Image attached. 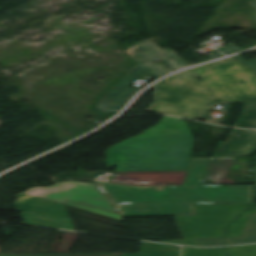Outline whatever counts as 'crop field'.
I'll list each match as a JSON object with an SVG mask.
<instances>
[{"instance_id":"crop-field-10","label":"crop field","mask_w":256,"mask_h":256,"mask_svg":"<svg viewBox=\"0 0 256 256\" xmlns=\"http://www.w3.org/2000/svg\"><path fill=\"white\" fill-rule=\"evenodd\" d=\"M14 204L18 211L70 218L65 205L29 194L19 193Z\"/></svg>"},{"instance_id":"crop-field-2","label":"crop field","mask_w":256,"mask_h":256,"mask_svg":"<svg viewBox=\"0 0 256 256\" xmlns=\"http://www.w3.org/2000/svg\"><path fill=\"white\" fill-rule=\"evenodd\" d=\"M145 132L107 149L108 166L117 171L187 170L194 139L184 120L163 116Z\"/></svg>"},{"instance_id":"crop-field-16","label":"crop field","mask_w":256,"mask_h":256,"mask_svg":"<svg viewBox=\"0 0 256 256\" xmlns=\"http://www.w3.org/2000/svg\"><path fill=\"white\" fill-rule=\"evenodd\" d=\"M256 212V204L254 203L234 221L224 227L225 237L240 236L244 223L249 213Z\"/></svg>"},{"instance_id":"crop-field-18","label":"crop field","mask_w":256,"mask_h":256,"mask_svg":"<svg viewBox=\"0 0 256 256\" xmlns=\"http://www.w3.org/2000/svg\"><path fill=\"white\" fill-rule=\"evenodd\" d=\"M228 256H256V245L227 247Z\"/></svg>"},{"instance_id":"crop-field-15","label":"crop field","mask_w":256,"mask_h":256,"mask_svg":"<svg viewBox=\"0 0 256 256\" xmlns=\"http://www.w3.org/2000/svg\"><path fill=\"white\" fill-rule=\"evenodd\" d=\"M234 126L256 128V102L245 103Z\"/></svg>"},{"instance_id":"crop-field-23","label":"crop field","mask_w":256,"mask_h":256,"mask_svg":"<svg viewBox=\"0 0 256 256\" xmlns=\"http://www.w3.org/2000/svg\"><path fill=\"white\" fill-rule=\"evenodd\" d=\"M222 56H224L223 54H221V53H218V54H215V55H213V56H211V57H209L210 59H214V58H218V57H222Z\"/></svg>"},{"instance_id":"crop-field-17","label":"crop field","mask_w":256,"mask_h":256,"mask_svg":"<svg viewBox=\"0 0 256 256\" xmlns=\"http://www.w3.org/2000/svg\"><path fill=\"white\" fill-rule=\"evenodd\" d=\"M182 256H225L224 248L193 249L184 247Z\"/></svg>"},{"instance_id":"crop-field-24","label":"crop field","mask_w":256,"mask_h":256,"mask_svg":"<svg viewBox=\"0 0 256 256\" xmlns=\"http://www.w3.org/2000/svg\"><path fill=\"white\" fill-rule=\"evenodd\" d=\"M252 4L255 6L256 8V0H251Z\"/></svg>"},{"instance_id":"crop-field-22","label":"crop field","mask_w":256,"mask_h":256,"mask_svg":"<svg viewBox=\"0 0 256 256\" xmlns=\"http://www.w3.org/2000/svg\"><path fill=\"white\" fill-rule=\"evenodd\" d=\"M234 58L237 59V60H239V61H241L242 63H244V64H246V65L252 67V68L256 71V60H254V61H252V62L249 63V62L245 61L244 59H242V58H240V57H238V56H236V57H234Z\"/></svg>"},{"instance_id":"crop-field-13","label":"crop field","mask_w":256,"mask_h":256,"mask_svg":"<svg viewBox=\"0 0 256 256\" xmlns=\"http://www.w3.org/2000/svg\"><path fill=\"white\" fill-rule=\"evenodd\" d=\"M121 256H179V247L141 242L140 254H121Z\"/></svg>"},{"instance_id":"crop-field-4","label":"crop field","mask_w":256,"mask_h":256,"mask_svg":"<svg viewBox=\"0 0 256 256\" xmlns=\"http://www.w3.org/2000/svg\"><path fill=\"white\" fill-rule=\"evenodd\" d=\"M155 100L150 111L155 114H168L192 119H204L216 104L212 92L184 89L164 85L153 86ZM197 112L200 113L198 116Z\"/></svg>"},{"instance_id":"crop-field-21","label":"crop field","mask_w":256,"mask_h":256,"mask_svg":"<svg viewBox=\"0 0 256 256\" xmlns=\"http://www.w3.org/2000/svg\"><path fill=\"white\" fill-rule=\"evenodd\" d=\"M228 46H229L228 48H222L221 47L218 50L225 53V54H231V53H234V52L241 51L239 48L235 47L232 44H229Z\"/></svg>"},{"instance_id":"crop-field-14","label":"crop field","mask_w":256,"mask_h":256,"mask_svg":"<svg viewBox=\"0 0 256 256\" xmlns=\"http://www.w3.org/2000/svg\"><path fill=\"white\" fill-rule=\"evenodd\" d=\"M225 239L226 245L256 243V213L249 214L240 237Z\"/></svg>"},{"instance_id":"crop-field-7","label":"crop field","mask_w":256,"mask_h":256,"mask_svg":"<svg viewBox=\"0 0 256 256\" xmlns=\"http://www.w3.org/2000/svg\"><path fill=\"white\" fill-rule=\"evenodd\" d=\"M127 52L141 66L150 72L155 79L169 73V71L161 65L156 66L150 61L156 57L160 58L171 70L189 66V64L180 58L176 53L173 51L167 52L166 49L162 50L151 39L137 42V44L128 47Z\"/></svg>"},{"instance_id":"crop-field-12","label":"crop field","mask_w":256,"mask_h":256,"mask_svg":"<svg viewBox=\"0 0 256 256\" xmlns=\"http://www.w3.org/2000/svg\"><path fill=\"white\" fill-rule=\"evenodd\" d=\"M193 75L194 78H191ZM171 77H174V79H171ZM171 77L163 83L178 87L210 91L203 81H195L199 76L193 69L177 73Z\"/></svg>"},{"instance_id":"crop-field-8","label":"crop field","mask_w":256,"mask_h":256,"mask_svg":"<svg viewBox=\"0 0 256 256\" xmlns=\"http://www.w3.org/2000/svg\"><path fill=\"white\" fill-rule=\"evenodd\" d=\"M256 152V130H233L227 142H219L213 157L252 156Z\"/></svg>"},{"instance_id":"crop-field-1","label":"crop field","mask_w":256,"mask_h":256,"mask_svg":"<svg viewBox=\"0 0 256 256\" xmlns=\"http://www.w3.org/2000/svg\"><path fill=\"white\" fill-rule=\"evenodd\" d=\"M209 158H191L183 187L95 181L122 217L194 216V203L252 204L253 186H201Z\"/></svg>"},{"instance_id":"crop-field-11","label":"crop field","mask_w":256,"mask_h":256,"mask_svg":"<svg viewBox=\"0 0 256 256\" xmlns=\"http://www.w3.org/2000/svg\"><path fill=\"white\" fill-rule=\"evenodd\" d=\"M21 215L25 219L24 223L27 224L75 230L71 219L35 215L24 212H22Z\"/></svg>"},{"instance_id":"crop-field-19","label":"crop field","mask_w":256,"mask_h":256,"mask_svg":"<svg viewBox=\"0 0 256 256\" xmlns=\"http://www.w3.org/2000/svg\"><path fill=\"white\" fill-rule=\"evenodd\" d=\"M0 256H118V254H0Z\"/></svg>"},{"instance_id":"crop-field-5","label":"crop field","mask_w":256,"mask_h":256,"mask_svg":"<svg viewBox=\"0 0 256 256\" xmlns=\"http://www.w3.org/2000/svg\"><path fill=\"white\" fill-rule=\"evenodd\" d=\"M248 206L195 204V217H174L185 240L164 242L198 246L195 238L223 237L222 227Z\"/></svg>"},{"instance_id":"crop-field-6","label":"crop field","mask_w":256,"mask_h":256,"mask_svg":"<svg viewBox=\"0 0 256 256\" xmlns=\"http://www.w3.org/2000/svg\"><path fill=\"white\" fill-rule=\"evenodd\" d=\"M25 193L53 200L59 203H63V200H69L107 211L117 212L107 197L103 194V192L98 188L96 184L93 183L64 182L49 188H32ZM65 203L68 206L123 220L119 214H114L70 202Z\"/></svg>"},{"instance_id":"crop-field-20","label":"crop field","mask_w":256,"mask_h":256,"mask_svg":"<svg viewBox=\"0 0 256 256\" xmlns=\"http://www.w3.org/2000/svg\"><path fill=\"white\" fill-rule=\"evenodd\" d=\"M199 246L211 247L224 245L223 238L196 239Z\"/></svg>"},{"instance_id":"crop-field-9","label":"crop field","mask_w":256,"mask_h":256,"mask_svg":"<svg viewBox=\"0 0 256 256\" xmlns=\"http://www.w3.org/2000/svg\"><path fill=\"white\" fill-rule=\"evenodd\" d=\"M146 70L139 64L101 101L96 107L105 112L123 108L126 102L139 90L129 87Z\"/></svg>"},{"instance_id":"crop-field-3","label":"crop field","mask_w":256,"mask_h":256,"mask_svg":"<svg viewBox=\"0 0 256 256\" xmlns=\"http://www.w3.org/2000/svg\"><path fill=\"white\" fill-rule=\"evenodd\" d=\"M219 99L239 103L256 101V74L231 59L194 68ZM246 82L242 85L240 82Z\"/></svg>"}]
</instances>
